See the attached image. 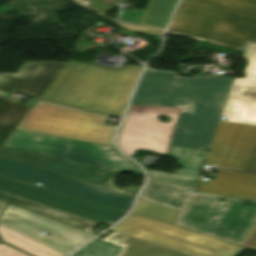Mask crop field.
<instances>
[{
  "instance_id": "obj_1",
  "label": "crop field",
  "mask_w": 256,
  "mask_h": 256,
  "mask_svg": "<svg viewBox=\"0 0 256 256\" xmlns=\"http://www.w3.org/2000/svg\"><path fill=\"white\" fill-rule=\"evenodd\" d=\"M233 78L184 77L145 67L116 136L118 147L166 154L169 146L208 149ZM159 115L172 117L161 123Z\"/></svg>"
},
{
  "instance_id": "obj_2",
  "label": "crop field",
  "mask_w": 256,
  "mask_h": 256,
  "mask_svg": "<svg viewBox=\"0 0 256 256\" xmlns=\"http://www.w3.org/2000/svg\"><path fill=\"white\" fill-rule=\"evenodd\" d=\"M188 190L147 180L139 198L179 210L172 225L241 246L256 222V199Z\"/></svg>"
},
{
  "instance_id": "obj_3",
  "label": "crop field",
  "mask_w": 256,
  "mask_h": 256,
  "mask_svg": "<svg viewBox=\"0 0 256 256\" xmlns=\"http://www.w3.org/2000/svg\"><path fill=\"white\" fill-rule=\"evenodd\" d=\"M141 68L111 69L69 60L40 99L121 116Z\"/></svg>"
},
{
  "instance_id": "obj_4",
  "label": "crop field",
  "mask_w": 256,
  "mask_h": 256,
  "mask_svg": "<svg viewBox=\"0 0 256 256\" xmlns=\"http://www.w3.org/2000/svg\"><path fill=\"white\" fill-rule=\"evenodd\" d=\"M167 34L243 50L256 42V0H182Z\"/></svg>"
},
{
  "instance_id": "obj_5",
  "label": "crop field",
  "mask_w": 256,
  "mask_h": 256,
  "mask_svg": "<svg viewBox=\"0 0 256 256\" xmlns=\"http://www.w3.org/2000/svg\"><path fill=\"white\" fill-rule=\"evenodd\" d=\"M206 164L220 167L196 191L256 198V125L220 121Z\"/></svg>"
},
{
  "instance_id": "obj_6",
  "label": "crop field",
  "mask_w": 256,
  "mask_h": 256,
  "mask_svg": "<svg viewBox=\"0 0 256 256\" xmlns=\"http://www.w3.org/2000/svg\"><path fill=\"white\" fill-rule=\"evenodd\" d=\"M107 118L106 115L38 102L16 129L111 146L117 126L104 125Z\"/></svg>"
},
{
  "instance_id": "obj_7",
  "label": "crop field",
  "mask_w": 256,
  "mask_h": 256,
  "mask_svg": "<svg viewBox=\"0 0 256 256\" xmlns=\"http://www.w3.org/2000/svg\"><path fill=\"white\" fill-rule=\"evenodd\" d=\"M2 145L95 167L143 175L140 167L113 147L17 130Z\"/></svg>"
},
{
  "instance_id": "obj_8",
  "label": "crop field",
  "mask_w": 256,
  "mask_h": 256,
  "mask_svg": "<svg viewBox=\"0 0 256 256\" xmlns=\"http://www.w3.org/2000/svg\"><path fill=\"white\" fill-rule=\"evenodd\" d=\"M110 230L191 256H234L239 246L130 213Z\"/></svg>"
},
{
  "instance_id": "obj_9",
  "label": "crop field",
  "mask_w": 256,
  "mask_h": 256,
  "mask_svg": "<svg viewBox=\"0 0 256 256\" xmlns=\"http://www.w3.org/2000/svg\"><path fill=\"white\" fill-rule=\"evenodd\" d=\"M0 190L106 225L127 213L1 175Z\"/></svg>"
},
{
  "instance_id": "obj_10",
  "label": "crop field",
  "mask_w": 256,
  "mask_h": 256,
  "mask_svg": "<svg viewBox=\"0 0 256 256\" xmlns=\"http://www.w3.org/2000/svg\"><path fill=\"white\" fill-rule=\"evenodd\" d=\"M0 224L54 248L66 255L90 240L94 235L51 221L8 205ZM46 230L54 237H45Z\"/></svg>"
},
{
  "instance_id": "obj_11",
  "label": "crop field",
  "mask_w": 256,
  "mask_h": 256,
  "mask_svg": "<svg viewBox=\"0 0 256 256\" xmlns=\"http://www.w3.org/2000/svg\"><path fill=\"white\" fill-rule=\"evenodd\" d=\"M0 156L134 197H136L140 188L129 187L119 189L114 186L112 181L119 172L81 165L3 146H0Z\"/></svg>"
},
{
  "instance_id": "obj_12",
  "label": "crop field",
  "mask_w": 256,
  "mask_h": 256,
  "mask_svg": "<svg viewBox=\"0 0 256 256\" xmlns=\"http://www.w3.org/2000/svg\"><path fill=\"white\" fill-rule=\"evenodd\" d=\"M0 164L45 177L39 182L43 184L44 188L66 193L122 210L128 211L135 199L134 197L96 187L3 157H0Z\"/></svg>"
},
{
  "instance_id": "obj_13",
  "label": "crop field",
  "mask_w": 256,
  "mask_h": 256,
  "mask_svg": "<svg viewBox=\"0 0 256 256\" xmlns=\"http://www.w3.org/2000/svg\"><path fill=\"white\" fill-rule=\"evenodd\" d=\"M248 63L244 79L234 78L220 116L229 121L256 124V44H248L241 55Z\"/></svg>"
},
{
  "instance_id": "obj_14",
  "label": "crop field",
  "mask_w": 256,
  "mask_h": 256,
  "mask_svg": "<svg viewBox=\"0 0 256 256\" xmlns=\"http://www.w3.org/2000/svg\"><path fill=\"white\" fill-rule=\"evenodd\" d=\"M65 63L25 62L16 74L0 73V93L18 92L40 98Z\"/></svg>"
},
{
  "instance_id": "obj_15",
  "label": "crop field",
  "mask_w": 256,
  "mask_h": 256,
  "mask_svg": "<svg viewBox=\"0 0 256 256\" xmlns=\"http://www.w3.org/2000/svg\"><path fill=\"white\" fill-rule=\"evenodd\" d=\"M208 150L170 147L168 156L175 159L181 169L173 174L147 169L148 177L194 187Z\"/></svg>"
},
{
  "instance_id": "obj_16",
  "label": "crop field",
  "mask_w": 256,
  "mask_h": 256,
  "mask_svg": "<svg viewBox=\"0 0 256 256\" xmlns=\"http://www.w3.org/2000/svg\"><path fill=\"white\" fill-rule=\"evenodd\" d=\"M0 201L18 207L20 209L29 211L31 213L49 218L51 220L66 224L68 226L86 231L96 235L97 233L89 231L98 223L17 197L3 192H0Z\"/></svg>"
},
{
  "instance_id": "obj_17",
  "label": "crop field",
  "mask_w": 256,
  "mask_h": 256,
  "mask_svg": "<svg viewBox=\"0 0 256 256\" xmlns=\"http://www.w3.org/2000/svg\"><path fill=\"white\" fill-rule=\"evenodd\" d=\"M122 249L118 256H188L117 233H110L102 239Z\"/></svg>"
},
{
  "instance_id": "obj_18",
  "label": "crop field",
  "mask_w": 256,
  "mask_h": 256,
  "mask_svg": "<svg viewBox=\"0 0 256 256\" xmlns=\"http://www.w3.org/2000/svg\"><path fill=\"white\" fill-rule=\"evenodd\" d=\"M0 95V145L16 128L30 109L17 101Z\"/></svg>"
},
{
  "instance_id": "obj_19",
  "label": "crop field",
  "mask_w": 256,
  "mask_h": 256,
  "mask_svg": "<svg viewBox=\"0 0 256 256\" xmlns=\"http://www.w3.org/2000/svg\"><path fill=\"white\" fill-rule=\"evenodd\" d=\"M0 238L2 241L33 256H66L2 225H0Z\"/></svg>"
},
{
  "instance_id": "obj_20",
  "label": "crop field",
  "mask_w": 256,
  "mask_h": 256,
  "mask_svg": "<svg viewBox=\"0 0 256 256\" xmlns=\"http://www.w3.org/2000/svg\"><path fill=\"white\" fill-rule=\"evenodd\" d=\"M177 0H149L138 24L165 28Z\"/></svg>"
},
{
  "instance_id": "obj_21",
  "label": "crop field",
  "mask_w": 256,
  "mask_h": 256,
  "mask_svg": "<svg viewBox=\"0 0 256 256\" xmlns=\"http://www.w3.org/2000/svg\"><path fill=\"white\" fill-rule=\"evenodd\" d=\"M132 213L171 224L177 210L138 199Z\"/></svg>"
},
{
  "instance_id": "obj_22",
  "label": "crop field",
  "mask_w": 256,
  "mask_h": 256,
  "mask_svg": "<svg viewBox=\"0 0 256 256\" xmlns=\"http://www.w3.org/2000/svg\"><path fill=\"white\" fill-rule=\"evenodd\" d=\"M120 251L119 247L95 239L72 256H117Z\"/></svg>"
},
{
  "instance_id": "obj_23",
  "label": "crop field",
  "mask_w": 256,
  "mask_h": 256,
  "mask_svg": "<svg viewBox=\"0 0 256 256\" xmlns=\"http://www.w3.org/2000/svg\"><path fill=\"white\" fill-rule=\"evenodd\" d=\"M0 174L4 175V176L11 177V178H14V179H18V180H21V181H25V182H28V183H32V184L40 181L43 178V177H39V176L32 175V174H29V173H25V172H22V171H18V170H15V169H11V168H8V167H4V166H1V165H0Z\"/></svg>"
},
{
  "instance_id": "obj_24",
  "label": "crop field",
  "mask_w": 256,
  "mask_h": 256,
  "mask_svg": "<svg viewBox=\"0 0 256 256\" xmlns=\"http://www.w3.org/2000/svg\"><path fill=\"white\" fill-rule=\"evenodd\" d=\"M144 10H138L137 12L121 10L119 21L126 23L137 24Z\"/></svg>"
},
{
  "instance_id": "obj_25",
  "label": "crop field",
  "mask_w": 256,
  "mask_h": 256,
  "mask_svg": "<svg viewBox=\"0 0 256 256\" xmlns=\"http://www.w3.org/2000/svg\"><path fill=\"white\" fill-rule=\"evenodd\" d=\"M88 7L101 13V14H104V13L114 9L113 7L101 2V0H90Z\"/></svg>"
},
{
  "instance_id": "obj_26",
  "label": "crop field",
  "mask_w": 256,
  "mask_h": 256,
  "mask_svg": "<svg viewBox=\"0 0 256 256\" xmlns=\"http://www.w3.org/2000/svg\"><path fill=\"white\" fill-rule=\"evenodd\" d=\"M0 256H28L6 244L0 243Z\"/></svg>"
},
{
  "instance_id": "obj_27",
  "label": "crop field",
  "mask_w": 256,
  "mask_h": 256,
  "mask_svg": "<svg viewBox=\"0 0 256 256\" xmlns=\"http://www.w3.org/2000/svg\"><path fill=\"white\" fill-rule=\"evenodd\" d=\"M118 25H119V27L124 28V29L148 32V33L159 34V35H162L164 32V31H161L160 29H155V28L131 26V25H126V24H121V23H118Z\"/></svg>"
},
{
  "instance_id": "obj_28",
  "label": "crop field",
  "mask_w": 256,
  "mask_h": 256,
  "mask_svg": "<svg viewBox=\"0 0 256 256\" xmlns=\"http://www.w3.org/2000/svg\"><path fill=\"white\" fill-rule=\"evenodd\" d=\"M244 247H249V248H255L256 249V227L253 230L252 234L244 244Z\"/></svg>"
},
{
  "instance_id": "obj_29",
  "label": "crop field",
  "mask_w": 256,
  "mask_h": 256,
  "mask_svg": "<svg viewBox=\"0 0 256 256\" xmlns=\"http://www.w3.org/2000/svg\"><path fill=\"white\" fill-rule=\"evenodd\" d=\"M77 1H79V2H80L81 4H83L84 6H87L89 0H77Z\"/></svg>"
},
{
  "instance_id": "obj_30",
  "label": "crop field",
  "mask_w": 256,
  "mask_h": 256,
  "mask_svg": "<svg viewBox=\"0 0 256 256\" xmlns=\"http://www.w3.org/2000/svg\"><path fill=\"white\" fill-rule=\"evenodd\" d=\"M4 206H5V203L0 202V213H1L2 209L4 208Z\"/></svg>"
}]
</instances>
